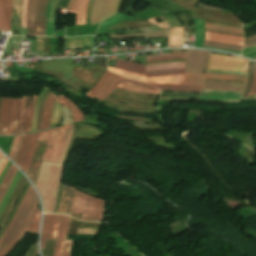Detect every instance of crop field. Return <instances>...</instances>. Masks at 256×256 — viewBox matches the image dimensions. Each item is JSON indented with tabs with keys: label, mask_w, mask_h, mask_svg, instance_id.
<instances>
[{
	"label": "crop field",
	"mask_w": 256,
	"mask_h": 256,
	"mask_svg": "<svg viewBox=\"0 0 256 256\" xmlns=\"http://www.w3.org/2000/svg\"><path fill=\"white\" fill-rule=\"evenodd\" d=\"M170 46H182V27L170 30L169 47Z\"/></svg>",
	"instance_id": "92a150f3"
},
{
	"label": "crop field",
	"mask_w": 256,
	"mask_h": 256,
	"mask_svg": "<svg viewBox=\"0 0 256 256\" xmlns=\"http://www.w3.org/2000/svg\"><path fill=\"white\" fill-rule=\"evenodd\" d=\"M21 135L14 137L11 152L9 155L10 158H11L12 152L17 151ZM37 135L38 133L24 134L23 141H22L23 136L21 137V141H20V145L17 153L12 154L11 160L14 161L26 174H28V171L32 162V158H33V154L36 146Z\"/></svg>",
	"instance_id": "412701ff"
},
{
	"label": "crop field",
	"mask_w": 256,
	"mask_h": 256,
	"mask_svg": "<svg viewBox=\"0 0 256 256\" xmlns=\"http://www.w3.org/2000/svg\"><path fill=\"white\" fill-rule=\"evenodd\" d=\"M38 0H28L27 3V30L26 35H35V18Z\"/></svg>",
	"instance_id": "5142ce71"
},
{
	"label": "crop field",
	"mask_w": 256,
	"mask_h": 256,
	"mask_svg": "<svg viewBox=\"0 0 256 256\" xmlns=\"http://www.w3.org/2000/svg\"><path fill=\"white\" fill-rule=\"evenodd\" d=\"M16 168L14 165H11L8 173L6 174L5 178L3 179L1 185H0V202L2 200V198L4 197L13 177H14V174L16 172Z\"/></svg>",
	"instance_id": "bc2a9ffb"
},
{
	"label": "crop field",
	"mask_w": 256,
	"mask_h": 256,
	"mask_svg": "<svg viewBox=\"0 0 256 256\" xmlns=\"http://www.w3.org/2000/svg\"><path fill=\"white\" fill-rule=\"evenodd\" d=\"M121 84L135 86V87H140V88H145V89H155V88H153L151 86H148V85H146L144 83L132 81V80L125 79V78L122 80Z\"/></svg>",
	"instance_id": "4177f3b9"
},
{
	"label": "crop field",
	"mask_w": 256,
	"mask_h": 256,
	"mask_svg": "<svg viewBox=\"0 0 256 256\" xmlns=\"http://www.w3.org/2000/svg\"><path fill=\"white\" fill-rule=\"evenodd\" d=\"M26 2L27 0H24L22 8V27H26Z\"/></svg>",
	"instance_id": "d3111659"
},
{
	"label": "crop field",
	"mask_w": 256,
	"mask_h": 256,
	"mask_svg": "<svg viewBox=\"0 0 256 256\" xmlns=\"http://www.w3.org/2000/svg\"><path fill=\"white\" fill-rule=\"evenodd\" d=\"M205 28L243 34L242 30L238 28L208 24V23H205Z\"/></svg>",
	"instance_id": "00972430"
},
{
	"label": "crop field",
	"mask_w": 256,
	"mask_h": 256,
	"mask_svg": "<svg viewBox=\"0 0 256 256\" xmlns=\"http://www.w3.org/2000/svg\"><path fill=\"white\" fill-rule=\"evenodd\" d=\"M120 0H95L92 5L91 25L98 24L118 10Z\"/></svg>",
	"instance_id": "3316defc"
},
{
	"label": "crop field",
	"mask_w": 256,
	"mask_h": 256,
	"mask_svg": "<svg viewBox=\"0 0 256 256\" xmlns=\"http://www.w3.org/2000/svg\"><path fill=\"white\" fill-rule=\"evenodd\" d=\"M182 80H173V81H156V80H145V82L152 83H170V84H181Z\"/></svg>",
	"instance_id": "750c4746"
},
{
	"label": "crop field",
	"mask_w": 256,
	"mask_h": 256,
	"mask_svg": "<svg viewBox=\"0 0 256 256\" xmlns=\"http://www.w3.org/2000/svg\"><path fill=\"white\" fill-rule=\"evenodd\" d=\"M25 98L26 96H23L22 99L2 97L0 108V135H7L10 122H17L20 99V115L16 132L15 128L17 123H11L8 134H12L14 132L15 134H17L30 130L36 96H34L32 99L29 111L28 107L30 102V96L28 97L25 109H23Z\"/></svg>",
	"instance_id": "8a807250"
},
{
	"label": "crop field",
	"mask_w": 256,
	"mask_h": 256,
	"mask_svg": "<svg viewBox=\"0 0 256 256\" xmlns=\"http://www.w3.org/2000/svg\"><path fill=\"white\" fill-rule=\"evenodd\" d=\"M205 39L242 45L243 38L205 32Z\"/></svg>",
	"instance_id": "733c2abd"
},
{
	"label": "crop field",
	"mask_w": 256,
	"mask_h": 256,
	"mask_svg": "<svg viewBox=\"0 0 256 256\" xmlns=\"http://www.w3.org/2000/svg\"><path fill=\"white\" fill-rule=\"evenodd\" d=\"M159 100H165V99H159ZM166 101H171V100H166Z\"/></svg>",
	"instance_id": "d32e631a"
},
{
	"label": "crop field",
	"mask_w": 256,
	"mask_h": 256,
	"mask_svg": "<svg viewBox=\"0 0 256 256\" xmlns=\"http://www.w3.org/2000/svg\"><path fill=\"white\" fill-rule=\"evenodd\" d=\"M110 68V67H109ZM113 70H116V71H120V72H123L125 74H129V75H134V76H139V77H145L144 75H137V74H133V73H129V72H126V71H123V70H119V69H114V68H111Z\"/></svg>",
	"instance_id": "1d83c4d3"
},
{
	"label": "crop field",
	"mask_w": 256,
	"mask_h": 256,
	"mask_svg": "<svg viewBox=\"0 0 256 256\" xmlns=\"http://www.w3.org/2000/svg\"><path fill=\"white\" fill-rule=\"evenodd\" d=\"M118 87L128 89V90H131V91H135V92H145V93H154V94L159 93V91H157V90H145V89L129 87V86L121 85V84Z\"/></svg>",
	"instance_id": "730fd06b"
},
{
	"label": "crop field",
	"mask_w": 256,
	"mask_h": 256,
	"mask_svg": "<svg viewBox=\"0 0 256 256\" xmlns=\"http://www.w3.org/2000/svg\"><path fill=\"white\" fill-rule=\"evenodd\" d=\"M115 67L124 69L126 71H130V72L141 73L146 75V77L159 76V75H179V74H184V70H185V69H175V70H159V71L145 72V65L128 62V61H122L118 59L116 61Z\"/></svg>",
	"instance_id": "28ad6ade"
},
{
	"label": "crop field",
	"mask_w": 256,
	"mask_h": 256,
	"mask_svg": "<svg viewBox=\"0 0 256 256\" xmlns=\"http://www.w3.org/2000/svg\"><path fill=\"white\" fill-rule=\"evenodd\" d=\"M70 218L65 215H46L41 230V249H44L46 239H55L59 228V233L54 248L53 256H62V249L66 237L67 228ZM69 229V228H68ZM73 240H67L65 243L63 256H69V250Z\"/></svg>",
	"instance_id": "ac0d7876"
},
{
	"label": "crop field",
	"mask_w": 256,
	"mask_h": 256,
	"mask_svg": "<svg viewBox=\"0 0 256 256\" xmlns=\"http://www.w3.org/2000/svg\"><path fill=\"white\" fill-rule=\"evenodd\" d=\"M38 201H39V199L37 198L36 204H35L32 212H31V214H30V216H29L25 226L23 227V229H22L21 233L19 234L17 240L13 243V245L10 247V249L7 251V253L22 238V236H23V234L25 233L26 230L37 233L38 225H39V220H40V212L35 207H36ZM7 253L4 256H6Z\"/></svg>",
	"instance_id": "22f410ed"
},
{
	"label": "crop field",
	"mask_w": 256,
	"mask_h": 256,
	"mask_svg": "<svg viewBox=\"0 0 256 256\" xmlns=\"http://www.w3.org/2000/svg\"><path fill=\"white\" fill-rule=\"evenodd\" d=\"M256 59V58H255Z\"/></svg>",
	"instance_id": "028f5c9d"
},
{
	"label": "crop field",
	"mask_w": 256,
	"mask_h": 256,
	"mask_svg": "<svg viewBox=\"0 0 256 256\" xmlns=\"http://www.w3.org/2000/svg\"><path fill=\"white\" fill-rule=\"evenodd\" d=\"M87 3L88 0H79L76 11V24L85 23Z\"/></svg>",
	"instance_id": "dafd665d"
},
{
	"label": "crop field",
	"mask_w": 256,
	"mask_h": 256,
	"mask_svg": "<svg viewBox=\"0 0 256 256\" xmlns=\"http://www.w3.org/2000/svg\"><path fill=\"white\" fill-rule=\"evenodd\" d=\"M46 4L47 0H39L38 2L36 35H45Z\"/></svg>",
	"instance_id": "d9b57169"
},
{
	"label": "crop field",
	"mask_w": 256,
	"mask_h": 256,
	"mask_svg": "<svg viewBox=\"0 0 256 256\" xmlns=\"http://www.w3.org/2000/svg\"><path fill=\"white\" fill-rule=\"evenodd\" d=\"M204 78H225V79L244 80L245 76L211 74V73H206V75H202V74H195V73L186 72L182 82L183 83H189V84H200V85H202L203 82H204Z\"/></svg>",
	"instance_id": "d1516ede"
},
{
	"label": "crop field",
	"mask_w": 256,
	"mask_h": 256,
	"mask_svg": "<svg viewBox=\"0 0 256 256\" xmlns=\"http://www.w3.org/2000/svg\"><path fill=\"white\" fill-rule=\"evenodd\" d=\"M152 86L158 87L160 90H182V91H194L200 92L202 86H195V85H188V84H181V85H169V84H150Z\"/></svg>",
	"instance_id": "4a817a6b"
},
{
	"label": "crop field",
	"mask_w": 256,
	"mask_h": 256,
	"mask_svg": "<svg viewBox=\"0 0 256 256\" xmlns=\"http://www.w3.org/2000/svg\"><path fill=\"white\" fill-rule=\"evenodd\" d=\"M255 91H256V65H255V69H254V77H253L252 85H251L250 92H249L248 96L254 95Z\"/></svg>",
	"instance_id": "ae1a2a85"
},
{
	"label": "crop field",
	"mask_w": 256,
	"mask_h": 256,
	"mask_svg": "<svg viewBox=\"0 0 256 256\" xmlns=\"http://www.w3.org/2000/svg\"><path fill=\"white\" fill-rule=\"evenodd\" d=\"M247 61L242 58L210 54L207 69L246 72Z\"/></svg>",
	"instance_id": "d8731c3e"
},
{
	"label": "crop field",
	"mask_w": 256,
	"mask_h": 256,
	"mask_svg": "<svg viewBox=\"0 0 256 256\" xmlns=\"http://www.w3.org/2000/svg\"><path fill=\"white\" fill-rule=\"evenodd\" d=\"M185 57L186 56L162 57V58H156V59H147L146 61L160 60V59H173V58H185Z\"/></svg>",
	"instance_id": "bd1437ed"
},
{
	"label": "crop field",
	"mask_w": 256,
	"mask_h": 256,
	"mask_svg": "<svg viewBox=\"0 0 256 256\" xmlns=\"http://www.w3.org/2000/svg\"><path fill=\"white\" fill-rule=\"evenodd\" d=\"M13 0H0V29L10 31V19Z\"/></svg>",
	"instance_id": "cbeb9de0"
},
{
	"label": "crop field",
	"mask_w": 256,
	"mask_h": 256,
	"mask_svg": "<svg viewBox=\"0 0 256 256\" xmlns=\"http://www.w3.org/2000/svg\"><path fill=\"white\" fill-rule=\"evenodd\" d=\"M121 80L122 77L112 74L107 70L98 84L92 90L88 91L86 95L91 99L96 96L102 100L114 90Z\"/></svg>",
	"instance_id": "5a996713"
},
{
	"label": "crop field",
	"mask_w": 256,
	"mask_h": 256,
	"mask_svg": "<svg viewBox=\"0 0 256 256\" xmlns=\"http://www.w3.org/2000/svg\"><path fill=\"white\" fill-rule=\"evenodd\" d=\"M185 67V62H171L146 65V71Z\"/></svg>",
	"instance_id": "214f88e0"
},
{
	"label": "crop field",
	"mask_w": 256,
	"mask_h": 256,
	"mask_svg": "<svg viewBox=\"0 0 256 256\" xmlns=\"http://www.w3.org/2000/svg\"><path fill=\"white\" fill-rule=\"evenodd\" d=\"M105 202L77 191L72 212L83 213L81 220L101 222Z\"/></svg>",
	"instance_id": "dd49c442"
},
{
	"label": "crop field",
	"mask_w": 256,
	"mask_h": 256,
	"mask_svg": "<svg viewBox=\"0 0 256 256\" xmlns=\"http://www.w3.org/2000/svg\"><path fill=\"white\" fill-rule=\"evenodd\" d=\"M55 99H56L57 102L63 104L64 106H66L68 109L71 110L72 117H73V122L83 120L82 113L79 111V109L73 103H71L69 101V99H67L62 94H60L57 97V96L49 93V95L46 99V102H45V106H44V111H43V115H42V122H41L40 130H43V129H46V128L49 127L51 110H52L53 102H54Z\"/></svg>",
	"instance_id": "e52e79f7"
},
{
	"label": "crop field",
	"mask_w": 256,
	"mask_h": 256,
	"mask_svg": "<svg viewBox=\"0 0 256 256\" xmlns=\"http://www.w3.org/2000/svg\"><path fill=\"white\" fill-rule=\"evenodd\" d=\"M68 128L69 126L59 127L39 133L38 140H48L42 160L58 163L64 142L68 135Z\"/></svg>",
	"instance_id": "f4fd0767"
},
{
	"label": "crop field",
	"mask_w": 256,
	"mask_h": 256,
	"mask_svg": "<svg viewBox=\"0 0 256 256\" xmlns=\"http://www.w3.org/2000/svg\"><path fill=\"white\" fill-rule=\"evenodd\" d=\"M2 154L0 153V158H1Z\"/></svg>",
	"instance_id": "5866460e"
},
{
	"label": "crop field",
	"mask_w": 256,
	"mask_h": 256,
	"mask_svg": "<svg viewBox=\"0 0 256 256\" xmlns=\"http://www.w3.org/2000/svg\"><path fill=\"white\" fill-rule=\"evenodd\" d=\"M37 195L31 185L11 223L4 235L0 238V256H3L7 249L14 242L22 227L24 226L30 211L36 201Z\"/></svg>",
	"instance_id": "34b2d1b8"
},
{
	"label": "crop field",
	"mask_w": 256,
	"mask_h": 256,
	"mask_svg": "<svg viewBox=\"0 0 256 256\" xmlns=\"http://www.w3.org/2000/svg\"><path fill=\"white\" fill-rule=\"evenodd\" d=\"M77 1L78 0H70L66 12L75 13Z\"/></svg>",
	"instance_id": "eef30255"
},
{
	"label": "crop field",
	"mask_w": 256,
	"mask_h": 256,
	"mask_svg": "<svg viewBox=\"0 0 256 256\" xmlns=\"http://www.w3.org/2000/svg\"><path fill=\"white\" fill-rule=\"evenodd\" d=\"M7 159L4 157L3 158V161H2V163H1V165H0V174H1V172H2V170H3V168H4V166H5V164L7 163Z\"/></svg>",
	"instance_id": "120bbe31"
},
{
	"label": "crop field",
	"mask_w": 256,
	"mask_h": 256,
	"mask_svg": "<svg viewBox=\"0 0 256 256\" xmlns=\"http://www.w3.org/2000/svg\"><path fill=\"white\" fill-rule=\"evenodd\" d=\"M110 70V69H109ZM113 71V70H111ZM115 73H118L116 71H113ZM120 75H123V76H126L128 78H132V79H137V80H142L144 81L143 78H139V77H134V76H129V75H125V74H121V73H118ZM184 75H180V76H159V77H149V78H145V79H158V80H166V79H182Z\"/></svg>",
	"instance_id": "a9b5d70f"
}]
</instances>
